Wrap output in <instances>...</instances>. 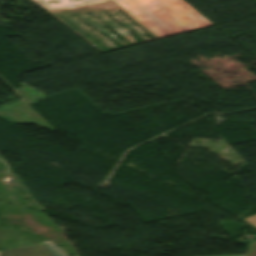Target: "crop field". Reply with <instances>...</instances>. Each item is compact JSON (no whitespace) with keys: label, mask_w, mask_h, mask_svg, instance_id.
<instances>
[{"label":"crop field","mask_w":256,"mask_h":256,"mask_svg":"<svg viewBox=\"0 0 256 256\" xmlns=\"http://www.w3.org/2000/svg\"><path fill=\"white\" fill-rule=\"evenodd\" d=\"M115 2V1H114ZM112 0H106L105 2H99V3H89V4H82V5H68V6H61V7H54V8H47L45 10H47L49 13H51L53 16H55L57 19H59L58 17L63 16L65 18V20H67L69 23H71L73 26H75L77 29H79L80 31L88 34L89 36L97 39L98 41H100L101 43H103L104 45H106L107 47H115L114 45H112L111 43H109L108 41H106L105 39H103L102 37H100L99 35H97L95 32H93L92 30H90L89 28H87L86 26H84L83 24H81L80 22H78L77 20H75L74 18L71 17V14H76L78 18H80L81 20L85 21L86 23H88L89 25H91L92 27H94L96 30H98L99 32H101L102 34H104L105 36H107L108 38H110L111 40L115 41L118 44H122L124 46L119 47V48H123V47H127L125 44H123L120 40H118L114 35H112L109 31H107L105 28H103L101 25H99L98 23H96L95 21H93L91 18H89L88 16L85 15V12H89L91 13L93 16H95L96 18H98L100 21H102L103 23H105L107 26H109L110 28H112L114 31H116L117 33H119L121 36H123L124 38H126L128 41L133 42V38L127 33L125 32L121 27H119L116 23H114L110 18H108L105 15V11H109L110 14L116 18L122 25H124L127 29L131 30L139 39L143 40L146 39L148 41L149 40L142 31H140L137 27H135L133 24H131L128 20H126L123 16H121L119 13H117L115 10H120L121 12H123L127 17H129L132 21H134L137 25H139L143 30H145L148 34H150L151 36H154L155 39H159L158 36H156L153 32H151L148 28H146L144 25H142L139 21H137L134 17H132L129 13H127L124 9H122L120 6H118L116 3H114ZM60 20V19H59ZM61 22H63L62 20H60ZM64 23V22H63ZM62 23V24H63ZM65 24V23H64ZM66 26H68L67 24H65ZM69 27V26H68ZM70 28V27H69ZM71 29V28H70ZM73 30V29H71ZM74 31V30H73ZM75 32V31H74ZM76 33V32H75ZM78 34V33H77ZM79 35V34H78ZM80 36V35H79ZM82 37V36H80ZM83 38V37H82ZM84 40H86L85 38H83ZM152 39V40H155ZM87 41V40H86ZM89 44H91L94 48H96L98 51H100L101 53L103 52H107V51H111V50H115V49H119L117 47L113 48V49H109V50H105L102 51L99 48H97L95 45H93L92 43H90L89 41H87ZM147 42V41H146ZM143 43V42H142ZM139 44V43H138ZM135 45V44H133ZM105 46V47H106ZM131 46V45H129Z\"/></svg>","instance_id":"8a807250"},{"label":"crop field","mask_w":256,"mask_h":256,"mask_svg":"<svg viewBox=\"0 0 256 256\" xmlns=\"http://www.w3.org/2000/svg\"><path fill=\"white\" fill-rule=\"evenodd\" d=\"M160 38L185 32L149 3L162 0H113ZM180 2V0H168Z\"/></svg>","instance_id":"ac0d7876"},{"label":"crop field","mask_w":256,"mask_h":256,"mask_svg":"<svg viewBox=\"0 0 256 256\" xmlns=\"http://www.w3.org/2000/svg\"><path fill=\"white\" fill-rule=\"evenodd\" d=\"M185 5L182 4L169 9L194 29L211 25Z\"/></svg>","instance_id":"34b2d1b8"},{"label":"crop field","mask_w":256,"mask_h":256,"mask_svg":"<svg viewBox=\"0 0 256 256\" xmlns=\"http://www.w3.org/2000/svg\"><path fill=\"white\" fill-rule=\"evenodd\" d=\"M0 256H51L43 244L4 250Z\"/></svg>","instance_id":"412701ff"},{"label":"crop field","mask_w":256,"mask_h":256,"mask_svg":"<svg viewBox=\"0 0 256 256\" xmlns=\"http://www.w3.org/2000/svg\"><path fill=\"white\" fill-rule=\"evenodd\" d=\"M180 3H174V2H168V1H162L157 3H152L155 8H157L160 12H162L164 15H166L169 19H171L173 22H175L178 26H180L185 31L192 30L189 25H187L184 21H182L180 18H178L175 14H173L171 11H169L167 8L179 5Z\"/></svg>","instance_id":"f4fd0767"},{"label":"crop field","mask_w":256,"mask_h":256,"mask_svg":"<svg viewBox=\"0 0 256 256\" xmlns=\"http://www.w3.org/2000/svg\"><path fill=\"white\" fill-rule=\"evenodd\" d=\"M52 256H67L62 248L56 247L52 241H41Z\"/></svg>","instance_id":"dd49c442"},{"label":"crop field","mask_w":256,"mask_h":256,"mask_svg":"<svg viewBox=\"0 0 256 256\" xmlns=\"http://www.w3.org/2000/svg\"><path fill=\"white\" fill-rule=\"evenodd\" d=\"M247 256H256V241L249 243Z\"/></svg>","instance_id":"e52e79f7"},{"label":"crop field","mask_w":256,"mask_h":256,"mask_svg":"<svg viewBox=\"0 0 256 256\" xmlns=\"http://www.w3.org/2000/svg\"><path fill=\"white\" fill-rule=\"evenodd\" d=\"M244 221L250 223L251 225H253L254 227H256V215L248 217L243 219Z\"/></svg>","instance_id":"d8731c3e"},{"label":"crop field","mask_w":256,"mask_h":256,"mask_svg":"<svg viewBox=\"0 0 256 256\" xmlns=\"http://www.w3.org/2000/svg\"><path fill=\"white\" fill-rule=\"evenodd\" d=\"M236 256H246V255H236Z\"/></svg>","instance_id":"5a996713"}]
</instances>
